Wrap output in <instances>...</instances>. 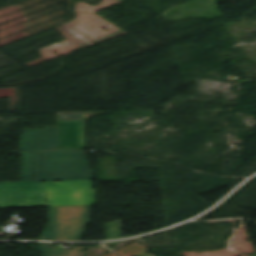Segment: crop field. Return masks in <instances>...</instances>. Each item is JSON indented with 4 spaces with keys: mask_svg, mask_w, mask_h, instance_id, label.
<instances>
[{
    "mask_svg": "<svg viewBox=\"0 0 256 256\" xmlns=\"http://www.w3.org/2000/svg\"><path fill=\"white\" fill-rule=\"evenodd\" d=\"M50 206L95 204L91 180L45 182Z\"/></svg>",
    "mask_w": 256,
    "mask_h": 256,
    "instance_id": "obj_3",
    "label": "crop field"
},
{
    "mask_svg": "<svg viewBox=\"0 0 256 256\" xmlns=\"http://www.w3.org/2000/svg\"><path fill=\"white\" fill-rule=\"evenodd\" d=\"M87 114H60L58 122H82Z\"/></svg>",
    "mask_w": 256,
    "mask_h": 256,
    "instance_id": "obj_10",
    "label": "crop field"
},
{
    "mask_svg": "<svg viewBox=\"0 0 256 256\" xmlns=\"http://www.w3.org/2000/svg\"><path fill=\"white\" fill-rule=\"evenodd\" d=\"M45 151L22 153V181H44Z\"/></svg>",
    "mask_w": 256,
    "mask_h": 256,
    "instance_id": "obj_7",
    "label": "crop field"
},
{
    "mask_svg": "<svg viewBox=\"0 0 256 256\" xmlns=\"http://www.w3.org/2000/svg\"><path fill=\"white\" fill-rule=\"evenodd\" d=\"M60 149L85 147L83 123H58Z\"/></svg>",
    "mask_w": 256,
    "mask_h": 256,
    "instance_id": "obj_6",
    "label": "crop field"
},
{
    "mask_svg": "<svg viewBox=\"0 0 256 256\" xmlns=\"http://www.w3.org/2000/svg\"><path fill=\"white\" fill-rule=\"evenodd\" d=\"M121 223L122 221H114L105 224L107 239L122 237L123 225L121 226Z\"/></svg>",
    "mask_w": 256,
    "mask_h": 256,
    "instance_id": "obj_9",
    "label": "crop field"
},
{
    "mask_svg": "<svg viewBox=\"0 0 256 256\" xmlns=\"http://www.w3.org/2000/svg\"><path fill=\"white\" fill-rule=\"evenodd\" d=\"M94 179L82 150L46 151L45 181Z\"/></svg>",
    "mask_w": 256,
    "mask_h": 256,
    "instance_id": "obj_2",
    "label": "crop field"
},
{
    "mask_svg": "<svg viewBox=\"0 0 256 256\" xmlns=\"http://www.w3.org/2000/svg\"><path fill=\"white\" fill-rule=\"evenodd\" d=\"M249 256H256V254L255 255H249Z\"/></svg>",
    "mask_w": 256,
    "mask_h": 256,
    "instance_id": "obj_11",
    "label": "crop field"
},
{
    "mask_svg": "<svg viewBox=\"0 0 256 256\" xmlns=\"http://www.w3.org/2000/svg\"><path fill=\"white\" fill-rule=\"evenodd\" d=\"M59 149L57 127L46 130H24L20 151Z\"/></svg>",
    "mask_w": 256,
    "mask_h": 256,
    "instance_id": "obj_5",
    "label": "crop field"
},
{
    "mask_svg": "<svg viewBox=\"0 0 256 256\" xmlns=\"http://www.w3.org/2000/svg\"><path fill=\"white\" fill-rule=\"evenodd\" d=\"M91 205L50 207L44 240L81 241L90 223Z\"/></svg>",
    "mask_w": 256,
    "mask_h": 256,
    "instance_id": "obj_1",
    "label": "crop field"
},
{
    "mask_svg": "<svg viewBox=\"0 0 256 256\" xmlns=\"http://www.w3.org/2000/svg\"><path fill=\"white\" fill-rule=\"evenodd\" d=\"M47 206L42 182L0 183V208Z\"/></svg>",
    "mask_w": 256,
    "mask_h": 256,
    "instance_id": "obj_4",
    "label": "crop field"
},
{
    "mask_svg": "<svg viewBox=\"0 0 256 256\" xmlns=\"http://www.w3.org/2000/svg\"><path fill=\"white\" fill-rule=\"evenodd\" d=\"M38 249L41 251V256H84L85 248L73 247L71 251L54 248L53 244H38Z\"/></svg>",
    "mask_w": 256,
    "mask_h": 256,
    "instance_id": "obj_8",
    "label": "crop field"
}]
</instances>
